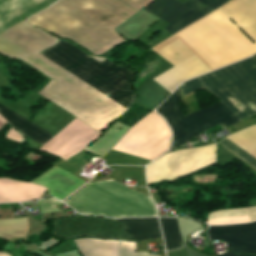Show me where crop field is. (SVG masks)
<instances>
[{"label": "crop field", "instance_id": "e52e79f7", "mask_svg": "<svg viewBox=\"0 0 256 256\" xmlns=\"http://www.w3.org/2000/svg\"><path fill=\"white\" fill-rule=\"evenodd\" d=\"M57 0H0V34ZM56 39L24 22L0 35V54L26 57L56 43Z\"/></svg>", "mask_w": 256, "mask_h": 256}, {"label": "crop field", "instance_id": "cbeb9de0", "mask_svg": "<svg viewBox=\"0 0 256 256\" xmlns=\"http://www.w3.org/2000/svg\"><path fill=\"white\" fill-rule=\"evenodd\" d=\"M256 126V125H255ZM252 126L246 130H242L236 134H233L227 138L249 153L256 159V127ZM223 140L220 144L246 162L248 165L256 170V160L232 143L228 139Z\"/></svg>", "mask_w": 256, "mask_h": 256}, {"label": "crop field", "instance_id": "a9b5d70f", "mask_svg": "<svg viewBox=\"0 0 256 256\" xmlns=\"http://www.w3.org/2000/svg\"><path fill=\"white\" fill-rule=\"evenodd\" d=\"M27 228L26 218L0 221V237L12 238L23 236Z\"/></svg>", "mask_w": 256, "mask_h": 256}, {"label": "crop field", "instance_id": "214f88e0", "mask_svg": "<svg viewBox=\"0 0 256 256\" xmlns=\"http://www.w3.org/2000/svg\"><path fill=\"white\" fill-rule=\"evenodd\" d=\"M143 9L170 24L190 8L177 0H152Z\"/></svg>", "mask_w": 256, "mask_h": 256}, {"label": "crop field", "instance_id": "733c2abd", "mask_svg": "<svg viewBox=\"0 0 256 256\" xmlns=\"http://www.w3.org/2000/svg\"><path fill=\"white\" fill-rule=\"evenodd\" d=\"M135 241L161 237L157 218L119 219Z\"/></svg>", "mask_w": 256, "mask_h": 256}, {"label": "crop field", "instance_id": "bd1437ed", "mask_svg": "<svg viewBox=\"0 0 256 256\" xmlns=\"http://www.w3.org/2000/svg\"><path fill=\"white\" fill-rule=\"evenodd\" d=\"M236 256H245V255H238V254H235ZM234 253H225V254H221V255H216V256H235Z\"/></svg>", "mask_w": 256, "mask_h": 256}, {"label": "crop field", "instance_id": "dd49c442", "mask_svg": "<svg viewBox=\"0 0 256 256\" xmlns=\"http://www.w3.org/2000/svg\"><path fill=\"white\" fill-rule=\"evenodd\" d=\"M248 60L256 66V55ZM248 60L182 83L183 96L205 86L240 119L256 114V67Z\"/></svg>", "mask_w": 256, "mask_h": 256}, {"label": "crop field", "instance_id": "5866460e", "mask_svg": "<svg viewBox=\"0 0 256 256\" xmlns=\"http://www.w3.org/2000/svg\"><path fill=\"white\" fill-rule=\"evenodd\" d=\"M180 1H182V2H183V1H185V0H180Z\"/></svg>", "mask_w": 256, "mask_h": 256}, {"label": "crop field", "instance_id": "5142ce71", "mask_svg": "<svg viewBox=\"0 0 256 256\" xmlns=\"http://www.w3.org/2000/svg\"><path fill=\"white\" fill-rule=\"evenodd\" d=\"M228 1L229 0H188L183 4L191 9L177 18L165 28L164 31L173 35Z\"/></svg>", "mask_w": 256, "mask_h": 256}, {"label": "crop field", "instance_id": "dafd665d", "mask_svg": "<svg viewBox=\"0 0 256 256\" xmlns=\"http://www.w3.org/2000/svg\"><path fill=\"white\" fill-rule=\"evenodd\" d=\"M234 216H247L248 222L255 221L256 207L246 208V209L222 210V211L209 213L207 220L228 218V217H234ZM244 222H247L246 217H235V218H228V219L211 220V221H207L206 223L211 225H223V224L244 223Z\"/></svg>", "mask_w": 256, "mask_h": 256}, {"label": "crop field", "instance_id": "412701ff", "mask_svg": "<svg viewBox=\"0 0 256 256\" xmlns=\"http://www.w3.org/2000/svg\"><path fill=\"white\" fill-rule=\"evenodd\" d=\"M99 135L76 118L39 149L69 159L84 151ZM85 162L80 154L70 160L60 159L49 171L30 182L46 186L53 197L62 200L88 181L78 175Z\"/></svg>", "mask_w": 256, "mask_h": 256}, {"label": "crop field", "instance_id": "d32e631a", "mask_svg": "<svg viewBox=\"0 0 256 256\" xmlns=\"http://www.w3.org/2000/svg\"><path fill=\"white\" fill-rule=\"evenodd\" d=\"M0 256H9L8 253H0Z\"/></svg>", "mask_w": 256, "mask_h": 256}, {"label": "crop field", "instance_id": "00972430", "mask_svg": "<svg viewBox=\"0 0 256 256\" xmlns=\"http://www.w3.org/2000/svg\"><path fill=\"white\" fill-rule=\"evenodd\" d=\"M166 250L182 245L177 218H159Z\"/></svg>", "mask_w": 256, "mask_h": 256}, {"label": "crop field", "instance_id": "4a817a6b", "mask_svg": "<svg viewBox=\"0 0 256 256\" xmlns=\"http://www.w3.org/2000/svg\"><path fill=\"white\" fill-rule=\"evenodd\" d=\"M83 256H118L120 241L99 239H75Z\"/></svg>", "mask_w": 256, "mask_h": 256}, {"label": "crop field", "instance_id": "d9b57169", "mask_svg": "<svg viewBox=\"0 0 256 256\" xmlns=\"http://www.w3.org/2000/svg\"><path fill=\"white\" fill-rule=\"evenodd\" d=\"M46 188L7 178H0V202L36 200Z\"/></svg>", "mask_w": 256, "mask_h": 256}, {"label": "crop field", "instance_id": "1d83c4d3", "mask_svg": "<svg viewBox=\"0 0 256 256\" xmlns=\"http://www.w3.org/2000/svg\"><path fill=\"white\" fill-rule=\"evenodd\" d=\"M136 256H155V255H149L148 253L136 252Z\"/></svg>", "mask_w": 256, "mask_h": 256}, {"label": "crop field", "instance_id": "eef30255", "mask_svg": "<svg viewBox=\"0 0 256 256\" xmlns=\"http://www.w3.org/2000/svg\"><path fill=\"white\" fill-rule=\"evenodd\" d=\"M167 255L168 256H203V255L193 251L192 249H190L187 246H184L180 250L170 251L167 253Z\"/></svg>", "mask_w": 256, "mask_h": 256}, {"label": "crop field", "instance_id": "d3111659", "mask_svg": "<svg viewBox=\"0 0 256 256\" xmlns=\"http://www.w3.org/2000/svg\"><path fill=\"white\" fill-rule=\"evenodd\" d=\"M120 1L130 6L134 10L139 11L145 5H147L151 0H120Z\"/></svg>", "mask_w": 256, "mask_h": 256}, {"label": "crop field", "instance_id": "730fd06b", "mask_svg": "<svg viewBox=\"0 0 256 256\" xmlns=\"http://www.w3.org/2000/svg\"><path fill=\"white\" fill-rule=\"evenodd\" d=\"M41 213H51L58 211L54 206L61 204L59 201L53 199V198H48L45 200H41L38 202Z\"/></svg>", "mask_w": 256, "mask_h": 256}, {"label": "crop field", "instance_id": "34b2d1b8", "mask_svg": "<svg viewBox=\"0 0 256 256\" xmlns=\"http://www.w3.org/2000/svg\"><path fill=\"white\" fill-rule=\"evenodd\" d=\"M124 21L95 0H59L27 23L69 38L96 54L123 39L112 29Z\"/></svg>", "mask_w": 256, "mask_h": 256}, {"label": "crop field", "instance_id": "22f410ed", "mask_svg": "<svg viewBox=\"0 0 256 256\" xmlns=\"http://www.w3.org/2000/svg\"><path fill=\"white\" fill-rule=\"evenodd\" d=\"M207 72L210 70L194 55L153 80L171 93L182 81Z\"/></svg>", "mask_w": 256, "mask_h": 256}, {"label": "crop field", "instance_id": "92a150f3", "mask_svg": "<svg viewBox=\"0 0 256 256\" xmlns=\"http://www.w3.org/2000/svg\"><path fill=\"white\" fill-rule=\"evenodd\" d=\"M129 129L130 127L117 121L106 133L88 147L86 151L104 157Z\"/></svg>", "mask_w": 256, "mask_h": 256}, {"label": "crop field", "instance_id": "28ad6ade", "mask_svg": "<svg viewBox=\"0 0 256 256\" xmlns=\"http://www.w3.org/2000/svg\"><path fill=\"white\" fill-rule=\"evenodd\" d=\"M53 234L65 240L81 235L133 240L123 224L90 216L54 220Z\"/></svg>", "mask_w": 256, "mask_h": 256}, {"label": "crop field", "instance_id": "8a807250", "mask_svg": "<svg viewBox=\"0 0 256 256\" xmlns=\"http://www.w3.org/2000/svg\"><path fill=\"white\" fill-rule=\"evenodd\" d=\"M40 53L124 108H129L134 102L135 94L131 89L133 72L107 60L100 63L59 40L58 44ZM41 54L24 60L54 82L38 91L49 101L99 133L126 111Z\"/></svg>", "mask_w": 256, "mask_h": 256}, {"label": "crop field", "instance_id": "f4fd0767", "mask_svg": "<svg viewBox=\"0 0 256 256\" xmlns=\"http://www.w3.org/2000/svg\"><path fill=\"white\" fill-rule=\"evenodd\" d=\"M64 203L82 214L102 217L157 216L151 197L108 177L92 182Z\"/></svg>", "mask_w": 256, "mask_h": 256}, {"label": "crop field", "instance_id": "120bbe31", "mask_svg": "<svg viewBox=\"0 0 256 256\" xmlns=\"http://www.w3.org/2000/svg\"><path fill=\"white\" fill-rule=\"evenodd\" d=\"M7 121L0 116V128L6 123Z\"/></svg>", "mask_w": 256, "mask_h": 256}, {"label": "crop field", "instance_id": "d1516ede", "mask_svg": "<svg viewBox=\"0 0 256 256\" xmlns=\"http://www.w3.org/2000/svg\"><path fill=\"white\" fill-rule=\"evenodd\" d=\"M210 240H223L229 251L256 253V222L232 226H211Z\"/></svg>", "mask_w": 256, "mask_h": 256}, {"label": "crop field", "instance_id": "d8731c3e", "mask_svg": "<svg viewBox=\"0 0 256 256\" xmlns=\"http://www.w3.org/2000/svg\"><path fill=\"white\" fill-rule=\"evenodd\" d=\"M179 97L180 86L156 110L167 120L173 132L172 148L218 124L225 129L241 121L221 101L184 116L178 105Z\"/></svg>", "mask_w": 256, "mask_h": 256}, {"label": "crop field", "instance_id": "ae1a2a85", "mask_svg": "<svg viewBox=\"0 0 256 256\" xmlns=\"http://www.w3.org/2000/svg\"><path fill=\"white\" fill-rule=\"evenodd\" d=\"M134 243L121 242L119 256H135Z\"/></svg>", "mask_w": 256, "mask_h": 256}, {"label": "crop field", "instance_id": "ac0d7876", "mask_svg": "<svg viewBox=\"0 0 256 256\" xmlns=\"http://www.w3.org/2000/svg\"><path fill=\"white\" fill-rule=\"evenodd\" d=\"M220 9L256 44V0H232ZM220 9L151 49L172 67L195 54L211 71L255 54L256 45Z\"/></svg>", "mask_w": 256, "mask_h": 256}, {"label": "crop field", "instance_id": "3316defc", "mask_svg": "<svg viewBox=\"0 0 256 256\" xmlns=\"http://www.w3.org/2000/svg\"><path fill=\"white\" fill-rule=\"evenodd\" d=\"M216 144L180 150L162 156L147 165V183L173 180L185 173L215 162Z\"/></svg>", "mask_w": 256, "mask_h": 256}, {"label": "crop field", "instance_id": "bc2a9ffb", "mask_svg": "<svg viewBox=\"0 0 256 256\" xmlns=\"http://www.w3.org/2000/svg\"><path fill=\"white\" fill-rule=\"evenodd\" d=\"M0 114L8 122L13 124L18 130L24 132L25 134L31 136L32 138L43 144L50 140L52 137H54L2 105H0Z\"/></svg>", "mask_w": 256, "mask_h": 256}, {"label": "crop field", "instance_id": "750c4746", "mask_svg": "<svg viewBox=\"0 0 256 256\" xmlns=\"http://www.w3.org/2000/svg\"><path fill=\"white\" fill-rule=\"evenodd\" d=\"M5 139L20 143L23 138L11 128V130L6 135Z\"/></svg>", "mask_w": 256, "mask_h": 256}, {"label": "crop field", "instance_id": "5a996713", "mask_svg": "<svg viewBox=\"0 0 256 256\" xmlns=\"http://www.w3.org/2000/svg\"><path fill=\"white\" fill-rule=\"evenodd\" d=\"M158 115V114H157ZM154 112L133 126L113 150L153 160L163 154L170 141V131Z\"/></svg>", "mask_w": 256, "mask_h": 256}, {"label": "crop field", "instance_id": "4177f3b9", "mask_svg": "<svg viewBox=\"0 0 256 256\" xmlns=\"http://www.w3.org/2000/svg\"><path fill=\"white\" fill-rule=\"evenodd\" d=\"M97 1H99L100 3H102L103 5H105L106 7L116 12L117 14H119L125 19L131 16L133 13H135V11H133L126 5L122 4L118 0H97Z\"/></svg>", "mask_w": 256, "mask_h": 256}]
</instances>
